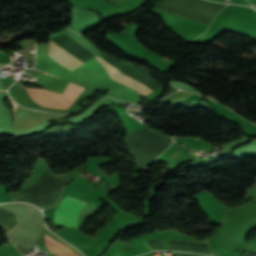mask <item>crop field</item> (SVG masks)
<instances>
[{"label": "crop field", "instance_id": "1", "mask_svg": "<svg viewBox=\"0 0 256 256\" xmlns=\"http://www.w3.org/2000/svg\"><path fill=\"white\" fill-rule=\"evenodd\" d=\"M85 205L86 203L67 196L55 212L54 223L76 227L77 214Z\"/></svg>", "mask_w": 256, "mask_h": 256}, {"label": "crop field", "instance_id": "2", "mask_svg": "<svg viewBox=\"0 0 256 256\" xmlns=\"http://www.w3.org/2000/svg\"><path fill=\"white\" fill-rule=\"evenodd\" d=\"M98 62L107 70L109 76L125 85H127L128 87L134 89L136 92H138L139 94L145 96L153 91H151L150 89L146 88L145 86H143L142 84L138 83L137 81H135L134 79L128 77L127 75L123 74L122 72H120L119 70H117L115 67H113L112 65H110L109 63H107L106 61H104L102 58H100L99 56L95 57ZM118 82V83H119Z\"/></svg>", "mask_w": 256, "mask_h": 256}, {"label": "crop field", "instance_id": "3", "mask_svg": "<svg viewBox=\"0 0 256 256\" xmlns=\"http://www.w3.org/2000/svg\"><path fill=\"white\" fill-rule=\"evenodd\" d=\"M49 48L51 53L48 55L71 70L83 64V62H81L53 40H50Z\"/></svg>", "mask_w": 256, "mask_h": 256}, {"label": "crop field", "instance_id": "4", "mask_svg": "<svg viewBox=\"0 0 256 256\" xmlns=\"http://www.w3.org/2000/svg\"><path fill=\"white\" fill-rule=\"evenodd\" d=\"M32 99L39 105L67 109L72 103L62 98L27 90Z\"/></svg>", "mask_w": 256, "mask_h": 256}, {"label": "crop field", "instance_id": "5", "mask_svg": "<svg viewBox=\"0 0 256 256\" xmlns=\"http://www.w3.org/2000/svg\"><path fill=\"white\" fill-rule=\"evenodd\" d=\"M127 220L128 218L120 215L109 230L104 234V236L99 240V242L94 246L93 250L101 252Z\"/></svg>", "mask_w": 256, "mask_h": 256}, {"label": "crop field", "instance_id": "6", "mask_svg": "<svg viewBox=\"0 0 256 256\" xmlns=\"http://www.w3.org/2000/svg\"><path fill=\"white\" fill-rule=\"evenodd\" d=\"M46 247L54 256H79L74 251L45 234Z\"/></svg>", "mask_w": 256, "mask_h": 256}]
</instances>
